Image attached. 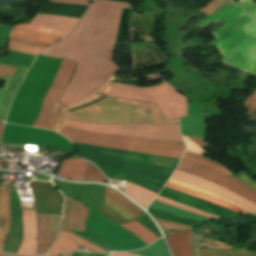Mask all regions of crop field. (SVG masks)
I'll return each mask as SVG.
<instances>
[{
    "instance_id": "crop-field-36",
    "label": "crop field",
    "mask_w": 256,
    "mask_h": 256,
    "mask_svg": "<svg viewBox=\"0 0 256 256\" xmlns=\"http://www.w3.org/2000/svg\"><path fill=\"white\" fill-rule=\"evenodd\" d=\"M249 104H250V106H249ZM244 107H245V110L248 107L247 112L253 107V109L250 111V113L249 114L247 113L248 116L254 111V109L256 108V91L248 99H246L244 101Z\"/></svg>"
},
{
    "instance_id": "crop-field-45",
    "label": "crop field",
    "mask_w": 256,
    "mask_h": 256,
    "mask_svg": "<svg viewBox=\"0 0 256 256\" xmlns=\"http://www.w3.org/2000/svg\"><path fill=\"white\" fill-rule=\"evenodd\" d=\"M0 256H21V255H14V254L0 253ZM56 256H57V255H56Z\"/></svg>"
},
{
    "instance_id": "crop-field-33",
    "label": "crop field",
    "mask_w": 256,
    "mask_h": 256,
    "mask_svg": "<svg viewBox=\"0 0 256 256\" xmlns=\"http://www.w3.org/2000/svg\"><path fill=\"white\" fill-rule=\"evenodd\" d=\"M155 221L158 223V225L173 228V229H177V230H181V231L194 228V227H191V226H188V225L169 222V221H164V220H159V219H155Z\"/></svg>"
},
{
    "instance_id": "crop-field-2",
    "label": "crop field",
    "mask_w": 256,
    "mask_h": 256,
    "mask_svg": "<svg viewBox=\"0 0 256 256\" xmlns=\"http://www.w3.org/2000/svg\"><path fill=\"white\" fill-rule=\"evenodd\" d=\"M225 21L211 33L216 39L208 45H216L222 64L256 75V21L240 7L234 3L196 25L202 29Z\"/></svg>"
},
{
    "instance_id": "crop-field-10",
    "label": "crop field",
    "mask_w": 256,
    "mask_h": 256,
    "mask_svg": "<svg viewBox=\"0 0 256 256\" xmlns=\"http://www.w3.org/2000/svg\"><path fill=\"white\" fill-rule=\"evenodd\" d=\"M177 169L195 174V175L202 177L206 180L217 183V184L235 192L236 194L256 203V192L232 177L226 178V177L222 176L221 174H219L209 168H206V167L198 165V164L189 163V162H186L183 160H181Z\"/></svg>"
},
{
    "instance_id": "crop-field-30",
    "label": "crop field",
    "mask_w": 256,
    "mask_h": 256,
    "mask_svg": "<svg viewBox=\"0 0 256 256\" xmlns=\"http://www.w3.org/2000/svg\"><path fill=\"white\" fill-rule=\"evenodd\" d=\"M231 0H212L207 6H205L200 11H203L207 14V16L225 8L226 6L232 4ZM198 11V12H200Z\"/></svg>"
},
{
    "instance_id": "crop-field-43",
    "label": "crop field",
    "mask_w": 256,
    "mask_h": 256,
    "mask_svg": "<svg viewBox=\"0 0 256 256\" xmlns=\"http://www.w3.org/2000/svg\"><path fill=\"white\" fill-rule=\"evenodd\" d=\"M157 198H160V199L166 200V199L161 198V197H159V196H157ZM166 201H169V200H166ZM169 202L174 203V204H177V205L182 206V207H185V208L190 209V210H194V211H197V212H200V213H204V212H201V211H199V210H196V209L190 208V207H188V206H185V205H182V204H179V203H176V202H172V201H169ZM204 214H207V213H204ZM207 215H209V214H207ZM210 216H212V215H210ZM213 217H215V216H213ZM215 218H217V217H215ZM218 219H220V218H218Z\"/></svg>"
},
{
    "instance_id": "crop-field-44",
    "label": "crop field",
    "mask_w": 256,
    "mask_h": 256,
    "mask_svg": "<svg viewBox=\"0 0 256 256\" xmlns=\"http://www.w3.org/2000/svg\"><path fill=\"white\" fill-rule=\"evenodd\" d=\"M72 256H101V255H99V254H84V253L75 252Z\"/></svg>"
},
{
    "instance_id": "crop-field-24",
    "label": "crop field",
    "mask_w": 256,
    "mask_h": 256,
    "mask_svg": "<svg viewBox=\"0 0 256 256\" xmlns=\"http://www.w3.org/2000/svg\"><path fill=\"white\" fill-rule=\"evenodd\" d=\"M183 160L202 164L206 167H209L211 169H214V170L220 172L221 174H223L226 177L229 176L230 174H232L228 170H226L222 165L215 163L209 159L203 158L201 156L195 155V154L186 152L183 157Z\"/></svg>"
},
{
    "instance_id": "crop-field-34",
    "label": "crop field",
    "mask_w": 256,
    "mask_h": 256,
    "mask_svg": "<svg viewBox=\"0 0 256 256\" xmlns=\"http://www.w3.org/2000/svg\"><path fill=\"white\" fill-rule=\"evenodd\" d=\"M238 4L256 19V3L252 0H240Z\"/></svg>"
},
{
    "instance_id": "crop-field-27",
    "label": "crop field",
    "mask_w": 256,
    "mask_h": 256,
    "mask_svg": "<svg viewBox=\"0 0 256 256\" xmlns=\"http://www.w3.org/2000/svg\"><path fill=\"white\" fill-rule=\"evenodd\" d=\"M169 182H172V183L181 185V186H183V187L189 188V189H191V190H194V191H197V192H200V193H204V194L210 195V196H212V197H215V198H217V199H219V200H222V201H224V202H227V203H229V204H231V205H233V206H236V207H238V208H240V209H242V210L248 211V212L253 213V214L256 215L255 212H253V211H251V210H249V209H247V208H245V207H243V206H241V205H239V204H237V203H235V202H233V201H230V200L225 199V198H223V197H221V196H218V195H216V194H214V193H211V192H209V191L203 190V189H201V188H198V187H195V186H192V185L183 183V182L171 180V179H169Z\"/></svg>"
},
{
    "instance_id": "crop-field-11",
    "label": "crop field",
    "mask_w": 256,
    "mask_h": 256,
    "mask_svg": "<svg viewBox=\"0 0 256 256\" xmlns=\"http://www.w3.org/2000/svg\"><path fill=\"white\" fill-rule=\"evenodd\" d=\"M171 179L183 181V182L201 187L203 189L209 190L211 192H214L218 195L226 197L230 200H233L237 203H240V204L256 211V204H254V203L236 195L235 193H233V192H231V191H229V190H227V189H225L221 186L213 184V183H211L209 181H206L204 179H201L199 177H196V176H193V175L175 170V172L171 176Z\"/></svg>"
},
{
    "instance_id": "crop-field-49",
    "label": "crop field",
    "mask_w": 256,
    "mask_h": 256,
    "mask_svg": "<svg viewBox=\"0 0 256 256\" xmlns=\"http://www.w3.org/2000/svg\"><path fill=\"white\" fill-rule=\"evenodd\" d=\"M1 126H2V124H0V130H1Z\"/></svg>"
},
{
    "instance_id": "crop-field-18",
    "label": "crop field",
    "mask_w": 256,
    "mask_h": 256,
    "mask_svg": "<svg viewBox=\"0 0 256 256\" xmlns=\"http://www.w3.org/2000/svg\"><path fill=\"white\" fill-rule=\"evenodd\" d=\"M128 150L149 153V154H154L158 156L176 158V159H180L182 153L184 152V149L182 148L163 147V146L135 143V142L131 143Z\"/></svg>"
},
{
    "instance_id": "crop-field-38",
    "label": "crop field",
    "mask_w": 256,
    "mask_h": 256,
    "mask_svg": "<svg viewBox=\"0 0 256 256\" xmlns=\"http://www.w3.org/2000/svg\"><path fill=\"white\" fill-rule=\"evenodd\" d=\"M90 0H48V2L75 3L88 5Z\"/></svg>"
},
{
    "instance_id": "crop-field-16",
    "label": "crop field",
    "mask_w": 256,
    "mask_h": 256,
    "mask_svg": "<svg viewBox=\"0 0 256 256\" xmlns=\"http://www.w3.org/2000/svg\"><path fill=\"white\" fill-rule=\"evenodd\" d=\"M11 26L0 24V47L6 45ZM34 55L10 51L8 58L0 59V63L22 66L28 68L32 63Z\"/></svg>"
},
{
    "instance_id": "crop-field-3",
    "label": "crop field",
    "mask_w": 256,
    "mask_h": 256,
    "mask_svg": "<svg viewBox=\"0 0 256 256\" xmlns=\"http://www.w3.org/2000/svg\"><path fill=\"white\" fill-rule=\"evenodd\" d=\"M67 118L93 123H178L177 119L166 121L155 103H139L110 97L70 112Z\"/></svg>"
},
{
    "instance_id": "crop-field-22",
    "label": "crop field",
    "mask_w": 256,
    "mask_h": 256,
    "mask_svg": "<svg viewBox=\"0 0 256 256\" xmlns=\"http://www.w3.org/2000/svg\"><path fill=\"white\" fill-rule=\"evenodd\" d=\"M166 187H169V188H172V189L181 191V192H183V193H186V194L195 196V197H197V198H200V199L209 201V202H211V203L217 204V205L222 206V207H224V208H227V209H229V210L235 211V212H237V213H239V214H241V213H243V214H250V213H247V212H245V211H242V210H240V209H238V208H235V207H233V206H230V205H228V204H226V203H223V202H221V201H219V200H216V199H214V198H212V197H210V196H207V195H204V194H200V193L191 191V190H189V189L183 188V187H181V186H178V185H175V184H172V183H169V182H167Z\"/></svg>"
},
{
    "instance_id": "crop-field-4",
    "label": "crop field",
    "mask_w": 256,
    "mask_h": 256,
    "mask_svg": "<svg viewBox=\"0 0 256 256\" xmlns=\"http://www.w3.org/2000/svg\"><path fill=\"white\" fill-rule=\"evenodd\" d=\"M99 94L144 102H155L166 119L186 115L187 99L167 82L148 88H136L131 85L109 82Z\"/></svg>"
},
{
    "instance_id": "crop-field-26",
    "label": "crop field",
    "mask_w": 256,
    "mask_h": 256,
    "mask_svg": "<svg viewBox=\"0 0 256 256\" xmlns=\"http://www.w3.org/2000/svg\"><path fill=\"white\" fill-rule=\"evenodd\" d=\"M132 253L144 255V256H169L163 239L153 243L152 245L135 251H129Z\"/></svg>"
},
{
    "instance_id": "crop-field-47",
    "label": "crop field",
    "mask_w": 256,
    "mask_h": 256,
    "mask_svg": "<svg viewBox=\"0 0 256 256\" xmlns=\"http://www.w3.org/2000/svg\"><path fill=\"white\" fill-rule=\"evenodd\" d=\"M247 255H248V256H256V253L247 251Z\"/></svg>"
},
{
    "instance_id": "crop-field-8",
    "label": "crop field",
    "mask_w": 256,
    "mask_h": 256,
    "mask_svg": "<svg viewBox=\"0 0 256 256\" xmlns=\"http://www.w3.org/2000/svg\"><path fill=\"white\" fill-rule=\"evenodd\" d=\"M76 62L63 60L55 80L44 100L42 111L36 120L34 127H43L58 131L62 125L67 108L57 102L60 94L64 90L73 67Z\"/></svg>"
},
{
    "instance_id": "crop-field-48",
    "label": "crop field",
    "mask_w": 256,
    "mask_h": 256,
    "mask_svg": "<svg viewBox=\"0 0 256 256\" xmlns=\"http://www.w3.org/2000/svg\"><path fill=\"white\" fill-rule=\"evenodd\" d=\"M73 252H70V253H64L62 254L61 256H71Z\"/></svg>"
},
{
    "instance_id": "crop-field-19",
    "label": "crop field",
    "mask_w": 256,
    "mask_h": 256,
    "mask_svg": "<svg viewBox=\"0 0 256 256\" xmlns=\"http://www.w3.org/2000/svg\"><path fill=\"white\" fill-rule=\"evenodd\" d=\"M204 113H197L193 116L180 118L181 134L204 138L205 125L203 123Z\"/></svg>"
},
{
    "instance_id": "crop-field-9",
    "label": "crop field",
    "mask_w": 256,
    "mask_h": 256,
    "mask_svg": "<svg viewBox=\"0 0 256 256\" xmlns=\"http://www.w3.org/2000/svg\"><path fill=\"white\" fill-rule=\"evenodd\" d=\"M59 132L62 133L66 138L74 142L113 147V148H119V149H125V150L128 149L131 141L184 148L183 143H171V142H163L158 140L142 139V138H135V137L119 136V135H106V134H100V133L80 131V130H76V129H72L64 126H62Z\"/></svg>"
},
{
    "instance_id": "crop-field-15",
    "label": "crop field",
    "mask_w": 256,
    "mask_h": 256,
    "mask_svg": "<svg viewBox=\"0 0 256 256\" xmlns=\"http://www.w3.org/2000/svg\"><path fill=\"white\" fill-rule=\"evenodd\" d=\"M192 253L196 256L193 229L190 230ZM173 256H192L189 230L166 237Z\"/></svg>"
},
{
    "instance_id": "crop-field-41",
    "label": "crop field",
    "mask_w": 256,
    "mask_h": 256,
    "mask_svg": "<svg viewBox=\"0 0 256 256\" xmlns=\"http://www.w3.org/2000/svg\"><path fill=\"white\" fill-rule=\"evenodd\" d=\"M100 96H101V95L95 94V95H93V96H91V97H89V98H87V99H85V100H83V101H81V102H79V103H77V104L71 106L70 108H73V107L82 105V104L87 103V102H89V101H91V100H93V99H96V98L100 97Z\"/></svg>"
},
{
    "instance_id": "crop-field-5",
    "label": "crop field",
    "mask_w": 256,
    "mask_h": 256,
    "mask_svg": "<svg viewBox=\"0 0 256 256\" xmlns=\"http://www.w3.org/2000/svg\"><path fill=\"white\" fill-rule=\"evenodd\" d=\"M79 19L37 13L29 24H17L14 27L65 37ZM76 26V25H75ZM12 28L9 38L43 46L51 47L62 37ZM54 39L53 42H50Z\"/></svg>"
},
{
    "instance_id": "crop-field-28",
    "label": "crop field",
    "mask_w": 256,
    "mask_h": 256,
    "mask_svg": "<svg viewBox=\"0 0 256 256\" xmlns=\"http://www.w3.org/2000/svg\"><path fill=\"white\" fill-rule=\"evenodd\" d=\"M45 49L46 47L29 45V44L20 43L12 40H10L9 42V50L19 51V52H24V53L34 54V55L39 54Z\"/></svg>"
},
{
    "instance_id": "crop-field-7",
    "label": "crop field",
    "mask_w": 256,
    "mask_h": 256,
    "mask_svg": "<svg viewBox=\"0 0 256 256\" xmlns=\"http://www.w3.org/2000/svg\"><path fill=\"white\" fill-rule=\"evenodd\" d=\"M64 125L106 134H119L171 142H183L178 130V124H93L66 119Z\"/></svg>"
},
{
    "instance_id": "crop-field-25",
    "label": "crop field",
    "mask_w": 256,
    "mask_h": 256,
    "mask_svg": "<svg viewBox=\"0 0 256 256\" xmlns=\"http://www.w3.org/2000/svg\"><path fill=\"white\" fill-rule=\"evenodd\" d=\"M150 208L165 211V212H169V213H173V214H176V215H180V216H184V217H188V218H192V219H196V220H199V221H202V222L210 220L206 217L196 215V214L184 211V210H180V209L168 206V205H164V204H161V203H158V202H155V201H153V203L150 205Z\"/></svg>"
},
{
    "instance_id": "crop-field-46",
    "label": "crop field",
    "mask_w": 256,
    "mask_h": 256,
    "mask_svg": "<svg viewBox=\"0 0 256 256\" xmlns=\"http://www.w3.org/2000/svg\"><path fill=\"white\" fill-rule=\"evenodd\" d=\"M256 118V110L253 112V114L250 116L249 120H254Z\"/></svg>"
},
{
    "instance_id": "crop-field-1",
    "label": "crop field",
    "mask_w": 256,
    "mask_h": 256,
    "mask_svg": "<svg viewBox=\"0 0 256 256\" xmlns=\"http://www.w3.org/2000/svg\"><path fill=\"white\" fill-rule=\"evenodd\" d=\"M121 7L128 2L94 0L74 31L42 54L79 60L76 74L60 102L69 106L101 88L119 67L112 63Z\"/></svg>"
},
{
    "instance_id": "crop-field-29",
    "label": "crop field",
    "mask_w": 256,
    "mask_h": 256,
    "mask_svg": "<svg viewBox=\"0 0 256 256\" xmlns=\"http://www.w3.org/2000/svg\"><path fill=\"white\" fill-rule=\"evenodd\" d=\"M197 256H246L245 250L238 249L235 251H224L216 249H196Z\"/></svg>"
},
{
    "instance_id": "crop-field-6",
    "label": "crop field",
    "mask_w": 256,
    "mask_h": 256,
    "mask_svg": "<svg viewBox=\"0 0 256 256\" xmlns=\"http://www.w3.org/2000/svg\"><path fill=\"white\" fill-rule=\"evenodd\" d=\"M36 213L61 214V200L53 189H31ZM38 242L36 255L45 254L53 245L61 221V215L36 214Z\"/></svg>"
},
{
    "instance_id": "crop-field-35",
    "label": "crop field",
    "mask_w": 256,
    "mask_h": 256,
    "mask_svg": "<svg viewBox=\"0 0 256 256\" xmlns=\"http://www.w3.org/2000/svg\"><path fill=\"white\" fill-rule=\"evenodd\" d=\"M184 139V142L186 144L187 147V151L193 152V153H197V154H203L204 151L203 149H201L200 147H198L196 144H194L192 141H190L188 138H186L185 136H182Z\"/></svg>"
},
{
    "instance_id": "crop-field-42",
    "label": "crop field",
    "mask_w": 256,
    "mask_h": 256,
    "mask_svg": "<svg viewBox=\"0 0 256 256\" xmlns=\"http://www.w3.org/2000/svg\"><path fill=\"white\" fill-rule=\"evenodd\" d=\"M109 256H140V255H136L128 252H114V253H111Z\"/></svg>"
},
{
    "instance_id": "crop-field-39",
    "label": "crop field",
    "mask_w": 256,
    "mask_h": 256,
    "mask_svg": "<svg viewBox=\"0 0 256 256\" xmlns=\"http://www.w3.org/2000/svg\"><path fill=\"white\" fill-rule=\"evenodd\" d=\"M29 187L53 188L50 182L32 181Z\"/></svg>"
},
{
    "instance_id": "crop-field-20",
    "label": "crop field",
    "mask_w": 256,
    "mask_h": 256,
    "mask_svg": "<svg viewBox=\"0 0 256 256\" xmlns=\"http://www.w3.org/2000/svg\"><path fill=\"white\" fill-rule=\"evenodd\" d=\"M120 188L122 192L131 197L135 202H137L144 209L150 203V201L154 198L156 193L149 192L133 183H129L126 181L118 180ZM152 202V201H151Z\"/></svg>"
},
{
    "instance_id": "crop-field-31",
    "label": "crop field",
    "mask_w": 256,
    "mask_h": 256,
    "mask_svg": "<svg viewBox=\"0 0 256 256\" xmlns=\"http://www.w3.org/2000/svg\"><path fill=\"white\" fill-rule=\"evenodd\" d=\"M86 181H100L105 182L106 177L97 170L93 165L88 163L86 170Z\"/></svg>"
},
{
    "instance_id": "crop-field-12",
    "label": "crop field",
    "mask_w": 256,
    "mask_h": 256,
    "mask_svg": "<svg viewBox=\"0 0 256 256\" xmlns=\"http://www.w3.org/2000/svg\"><path fill=\"white\" fill-rule=\"evenodd\" d=\"M107 206L115 210L117 213L125 217L127 220H134L146 213L136 207L131 201L119 192L109 188L104 189V200Z\"/></svg>"
},
{
    "instance_id": "crop-field-32",
    "label": "crop field",
    "mask_w": 256,
    "mask_h": 256,
    "mask_svg": "<svg viewBox=\"0 0 256 256\" xmlns=\"http://www.w3.org/2000/svg\"><path fill=\"white\" fill-rule=\"evenodd\" d=\"M71 232H73V233H75V234H77V235H79V236H81V237H83V238L89 240L90 242H92V243L98 245L99 247H101V248H103V249H105V250H107V251H116L115 249H113V248H112L109 244H107L106 242H104V241H102V240H100V239H97V238H95V237H92V236L86 234L85 232H81V231H71Z\"/></svg>"
},
{
    "instance_id": "crop-field-37",
    "label": "crop field",
    "mask_w": 256,
    "mask_h": 256,
    "mask_svg": "<svg viewBox=\"0 0 256 256\" xmlns=\"http://www.w3.org/2000/svg\"><path fill=\"white\" fill-rule=\"evenodd\" d=\"M16 67L0 64V76L12 77Z\"/></svg>"
},
{
    "instance_id": "crop-field-13",
    "label": "crop field",
    "mask_w": 256,
    "mask_h": 256,
    "mask_svg": "<svg viewBox=\"0 0 256 256\" xmlns=\"http://www.w3.org/2000/svg\"><path fill=\"white\" fill-rule=\"evenodd\" d=\"M86 217L87 207L66 196L62 228L84 231V222Z\"/></svg>"
},
{
    "instance_id": "crop-field-17",
    "label": "crop field",
    "mask_w": 256,
    "mask_h": 256,
    "mask_svg": "<svg viewBox=\"0 0 256 256\" xmlns=\"http://www.w3.org/2000/svg\"><path fill=\"white\" fill-rule=\"evenodd\" d=\"M87 162L82 159L69 158L64 160L57 173L66 179L84 181Z\"/></svg>"
},
{
    "instance_id": "crop-field-40",
    "label": "crop field",
    "mask_w": 256,
    "mask_h": 256,
    "mask_svg": "<svg viewBox=\"0 0 256 256\" xmlns=\"http://www.w3.org/2000/svg\"><path fill=\"white\" fill-rule=\"evenodd\" d=\"M155 201H158V202H161V203H164V204H168V205H171V206L180 208V209H184V208H182V207L176 206V205H174V204L168 203V202H166V201H163V200H160V199H157V198H155ZM184 210H187V209H184ZM187 211H190V210H187ZM190 212H193V211H190ZM193 213L200 214V213H197V212H193ZM200 215H203V214H200ZM203 216L210 217V216H207V215H203ZM210 218H213V217H210ZM213 219H215V218H213ZM216 220H218V219H216Z\"/></svg>"
},
{
    "instance_id": "crop-field-23",
    "label": "crop field",
    "mask_w": 256,
    "mask_h": 256,
    "mask_svg": "<svg viewBox=\"0 0 256 256\" xmlns=\"http://www.w3.org/2000/svg\"><path fill=\"white\" fill-rule=\"evenodd\" d=\"M120 226L133 232L142 241H144L147 245L150 244L152 241L158 239L157 236H155L152 232H150L148 229H146L144 226H142L141 224H139L136 221L129 222V223H126V224H123Z\"/></svg>"
},
{
    "instance_id": "crop-field-21",
    "label": "crop field",
    "mask_w": 256,
    "mask_h": 256,
    "mask_svg": "<svg viewBox=\"0 0 256 256\" xmlns=\"http://www.w3.org/2000/svg\"><path fill=\"white\" fill-rule=\"evenodd\" d=\"M9 226V188H0V251Z\"/></svg>"
},
{
    "instance_id": "crop-field-14",
    "label": "crop field",
    "mask_w": 256,
    "mask_h": 256,
    "mask_svg": "<svg viewBox=\"0 0 256 256\" xmlns=\"http://www.w3.org/2000/svg\"><path fill=\"white\" fill-rule=\"evenodd\" d=\"M72 241L83 245L95 252H104L105 250L99 248L98 246L90 243L89 241L72 234L68 231H60L59 238L56 242V244L50 249V251L47 253L48 255H53L61 252H67V251H75L76 248L79 246Z\"/></svg>"
}]
</instances>
